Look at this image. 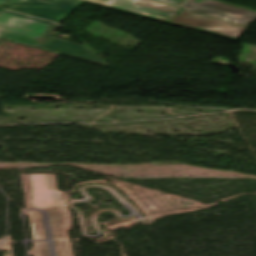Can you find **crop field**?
<instances>
[{
  "mask_svg": "<svg viewBox=\"0 0 256 256\" xmlns=\"http://www.w3.org/2000/svg\"><path fill=\"white\" fill-rule=\"evenodd\" d=\"M170 24L190 28L193 30L213 34L216 36L232 39H238L249 28L247 26L224 21L210 16L181 9L173 18Z\"/></svg>",
  "mask_w": 256,
  "mask_h": 256,
  "instance_id": "crop-field-2",
  "label": "crop field"
},
{
  "mask_svg": "<svg viewBox=\"0 0 256 256\" xmlns=\"http://www.w3.org/2000/svg\"><path fill=\"white\" fill-rule=\"evenodd\" d=\"M184 9V8H183ZM188 10V9H187ZM192 11V10H191ZM196 12V11H195ZM200 13V12H199Z\"/></svg>",
  "mask_w": 256,
  "mask_h": 256,
  "instance_id": "crop-field-7",
  "label": "crop field"
},
{
  "mask_svg": "<svg viewBox=\"0 0 256 256\" xmlns=\"http://www.w3.org/2000/svg\"><path fill=\"white\" fill-rule=\"evenodd\" d=\"M129 11V14L169 23L180 10L151 0H79Z\"/></svg>",
  "mask_w": 256,
  "mask_h": 256,
  "instance_id": "crop-field-4",
  "label": "crop field"
},
{
  "mask_svg": "<svg viewBox=\"0 0 256 256\" xmlns=\"http://www.w3.org/2000/svg\"><path fill=\"white\" fill-rule=\"evenodd\" d=\"M185 8L203 12L202 14L247 25L256 20V12L222 4L211 0H189Z\"/></svg>",
  "mask_w": 256,
  "mask_h": 256,
  "instance_id": "crop-field-5",
  "label": "crop field"
},
{
  "mask_svg": "<svg viewBox=\"0 0 256 256\" xmlns=\"http://www.w3.org/2000/svg\"><path fill=\"white\" fill-rule=\"evenodd\" d=\"M57 24L4 10L0 12V37L108 66L88 47L51 38Z\"/></svg>",
  "mask_w": 256,
  "mask_h": 256,
  "instance_id": "crop-field-1",
  "label": "crop field"
},
{
  "mask_svg": "<svg viewBox=\"0 0 256 256\" xmlns=\"http://www.w3.org/2000/svg\"><path fill=\"white\" fill-rule=\"evenodd\" d=\"M80 3L75 0H18L7 9L60 23Z\"/></svg>",
  "mask_w": 256,
  "mask_h": 256,
  "instance_id": "crop-field-3",
  "label": "crop field"
},
{
  "mask_svg": "<svg viewBox=\"0 0 256 256\" xmlns=\"http://www.w3.org/2000/svg\"><path fill=\"white\" fill-rule=\"evenodd\" d=\"M156 1L183 7L187 3L188 0H156Z\"/></svg>",
  "mask_w": 256,
  "mask_h": 256,
  "instance_id": "crop-field-6",
  "label": "crop field"
}]
</instances>
